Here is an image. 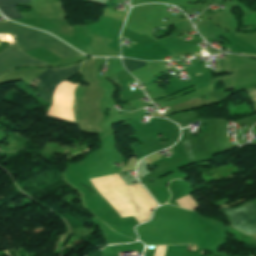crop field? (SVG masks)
Returning <instances> with one entry per match:
<instances>
[{
  "label": "crop field",
  "instance_id": "crop-field-5",
  "mask_svg": "<svg viewBox=\"0 0 256 256\" xmlns=\"http://www.w3.org/2000/svg\"><path fill=\"white\" fill-rule=\"evenodd\" d=\"M30 3V0H0L1 12L13 19H22L18 13L16 4Z\"/></svg>",
  "mask_w": 256,
  "mask_h": 256
},
{
  "label": "crop field",
  "instance_id": "crop-field-8",
  "mask_svg": "<svg viewBox=\"0 0 256 256\" xmlns=\"http://www.w3.org/2000/svg\"><path fill=\"white\" fill-rule=\"evenodd\" d=\"M166 246H156L155 256H164Z\"/></svg>",
  "mask_w": 256,
  "mask_h": 256
},
{
  "label": "crop field",
  "instance_id": "crop-field-3",
  "mask_svg": "<svg viewBox=\"0 0 256 256\" xmlns=\"http://www.w3.org/2000/svg\"><path fill=\"white\" fill-rule=\"evenodd\" d=\"M224 212L231 220V224L236 226L238 229L248 233H256V204L248 202L242 206L233 209H220Z\"/></svg>",
  "mask_w": 256,
  "mask_h": 256
},
{
  "label": "crop field",
  "instance_id": "crop-field-7",
  "mask_svg": "<svg viewBox=\"0 0 256 256\" xmlns=\"http://www.w3.org/2000/svg\"><path fill=\"white\" fill-rule=\"evenodd\" d=\"M123 63L125 64V66L129 72L146 65L145 62H138V61H134L131 59H123Z\"/></svg>",
  "mask_w": 256,
  "mask_h": 256
},
{
  "label": "crop field",
  "instance_id": "crop-field-1",
  "mask_svg": "<svg viewBox=\"0 0 256 256\" xmlns=\"http://www.w3.org/2000/svg\"><path fill=\"white\" fill-rule=\"evenodd\" d=\"M1 34H15L23 50L42 46L62 59L81 55L49 35L19 27L10 22H0Z\"/></svg>",
  "mask_w": 256,
  "mask_h": 256
},
{
  "label": "crop field",
  "instance_id": "crop-field-4",
  "mask_svg": "<svg viewBox=\"0 0 256 256\" xmlns=\"http://www.w3.org/2000/svg\"><path fill=\"white\" fill-rule=\"evenodd\" d=\"M43 64L47 63L27 56L18 48L17 44L0 53V74L20 66H39Z\"/></svg>",
  "mask_w": 256,
  "mask_h": 256
},
{
  "label": "crop field",
  "instance_id": "crop-field-2",
  "mask_svg": "<svg viewBox=\"0 0 256 256\" xmlns=\"http://www.w3.org/2000/svg\"><path fill=\"white\" fill-rule=\"evenodd\" d=\"M79 65L63 69H47L28 83L40 89L36 93L37 96L51 103L53 88L63 80H68L77 74Z\"/></svg>",
  "mask_w": 256,
  "mask_h": 256
},
{
  "label": "crop field",
  "instance_id": "crop-field-6",
  "mask_svg": "<svg viewBox=\"0 0 256 256\" xmlns=\"http://www.w3.org/2000/svg\"><path fill=\"white\" fill-rule=\"evenodd\" d=\"M177 203L180 207H184L192 210L198 207L189 195L177 200Z\"/></svg>",
  "mask_w": 256,
  "mask_h": 256
}]
</instances>
